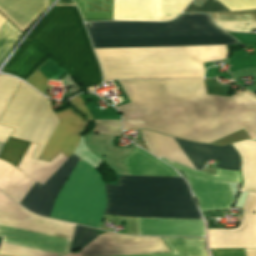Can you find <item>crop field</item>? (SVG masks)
I'll use <instances>...</instances> for the list:
<instances>
[{
  "label": "crop field",
  "mask_w": 256,
  "mask_h": 256,
  "mask_svg": "<svg viewBox=\"0 0 256 256\" xmlns=\"http://www.w3.org/2000/svg\"><path fill=\"white\" fill-rule=\"evenodd\" d=\"M94 48L239 44L208 14H182L166 23H86ZM104 81L202 78V63L227 57L226 45L94 49Z\"/></svg>",
  "instance_id": "crop-field-1"
},
{
  "label": "crop field",
  "mask_w": 256,
  "mask_h": 256,
  "mask_svg": "<svg viewBox=\"0 0 256 256\" xmlns=\"http://www.w3.org/2000/svg\"><path fill=\"white\" fill-rule=\"evenodd\" d=\"M129 104L117 107L124 129L148 128L211 143L241 129L256 140V96L205 94L203 80L118 81Z\"/></svg>",
  "instance_id": "crop-field-2"
},
{
  "label": "crop field",
  "mask_w": 256,
  "mask_h": 256,
  "mask_svg": "<svg viewBox=\"0 0 256 256\" xmlns=\"http://www.w3.org/2000/svg\"><path fill=\"white\" fill-rule=\"evenodd\" d=\"M14 57L38 67L50 57L85 88L102 82L98 63L76 6H54ZM14 57L2 72L26 81L38 67Z\"/></svg>",
  "instance_id": "crop-field-3"
},
{
  "label": "crop field",
  "mask_w": 256,
  "mask_h": 256,
  "mask_svg": "<svg viewBox=\"0 0 256 256\" xmlns=\"http://www.w3.org/2000/svg\"><path fill=\"white\" fill-rule=\"evenodd\" d=\"M106 196L193 199L182 178L120 176L105 185ZM104 214L131 217L201 218L194 200L107 197Z\"/></svg>",
  "instance_id": "crop-field-4"
},
{
  "label": "crop field",
  "mask_w": 256,
  "mask_h": 256,
  "mask_svg": "<svg viewBox=\"0 0 256 256\" xmlns=\"http://www.w3.org/2000/svg\"><path fill=\"white\" fill-rule=\"evenodd\" d=\"M0 225L70 240L74 225L40 218L25 211L0 193ZM0 226L1 243L66 254L70 241ZM0 245V254L15 256H58L21 247Z\"/></svg>",
  "instance_id": "crop-field-5"
},
{
  "label": "crop field",
  "mask_w": 256,
  "mask_h": 256,
  "mask_svg": "<svg viewBox=\"0 0 256 256\" xmlns=\"http://www.w3.org/2000/svg\"><path fill=\"white\" fill-rule=\"evenodd\" d=\"M106 206L101 175L79 159L49 217L98 228Z\"/></svg>",
  "instance_id": "crop-field-6"
},
{
  "label": "crop field",
  "mask_w": 256,
  "mask_h": 256,
  "mask_svg": "<svg viewBox=\"0 0 256 256\" xmlns=\"http://www.w3.org/2000/svg\"><path fill=\"white\" fill-rule=\"evenodd\" d=\"M57 122L50 101L23 82L0 118V125L15 128L11 137L38 144L37 159Z\"/></svg>",
  "instance_id": "crop-field-7"
},
{
  "label": "crop field",
  "mask_w": 256,
  "mask_h": 256,
  "mask_svg": "<svg viewBox=\"0 0 256 256\" xmlns=\"http://www.w3.org/2000/svg\"><path fill=\"white\" fill-rule=\"evenodd\" d=\"M29 145V142L9 137L0 158L17 167ZM35 147L31 143L18 165L21 171L14 167L1 189L19 203L36 181L43 185L67 159L61 153L49 162L32 159L30 157Z\"/></svg>",
  "instance_id": "crop-field-8"
},
{
  "label": "crop field",
  "mask_w": 256,
  "mask_h": 256,
  "mask_svg": "<svg viewBox=\"0 0 256 256\" xmlns=\"http://www.w3.org/2000/svg\"><path fill=\"white\" fill-rule=\"evenodd\" d=\"M149 152L159 157L178 162L197 170L204 167L203 163L208 159L220 161L217 168L225 170H239V157L235 150L230 146L215 147L206 144H197L167 137L152 131L140 130Z\"/></svg>",
  "instance_id": "crop-field-9"
},
{
  "label": "crop field",
  "mask_w": 256,
  "mask_h": 256,
  "mask_svg": "<svg viewBox=\"0 0 256 256\" xmlns=\"http://www.w3.org/2000/svg\"><path fill=\"white\" fill-rule=\"evenodd\" d=\"M82 13L83 18L113 19V0H110V13H84L85 3L74 0ZM191 0H185V4L162 3L157 0V20L163 21L175 18L187 6ZM86 2L85 12H109V0H81ZM138 2V14H118V18L156 19V0H133ZM163 2L184 3V0H163ZM117 19V0H114V20Z\"/></svg>",
  "instance_id": "crop-field-10"
},
{
  "label": "crop field",
  "mask_w": 256,
  "mask_h": 256,
  "mask_svg": "<svg viewBox=\"0 0 256 256\" xmlns=\"http://www.w3.org/2000/svg\"><path fill=\"white\" fill-rule=\"evenodd\" d=\"M82 256L170 252L160 237H131L106 232L80 250Z\"/></svg>",
  "instance_id": "crop-field-11"
},
{
  "label": "crop field",
  "mask_w": 256,
  "mask_h": 256,
  "mask_svg": "<svg viewBox=\"0 0 256 256\" xmlns=\"http://www.w3.org/2000/svg\"><path fill=\"white\" fill-rule=\"evenodd\" d=\"M209 248L256 247V193H250L236 229L208 230Z\"/></svg>",
  "instance_id": "crop-field-12"
},
{
  "label": "crop field",
  "mask_w": 256,
  "mask_h": 256,
  "mask_svg": "<svg viewBox=\"0 0 256 256\" xmlns=\"http://www.w3.org/2000/svg\"><path fill=\"white\" fill-rule=\"evenodd\" d=\"M56 116L59 122L39 159L49 161L60 152L69 157L81 139L77 132L85 128L86 122L71 107Z\"/></svg>",
  "instance_id": "crop-field-13"
},
{
  "label": "crop field",
  "mask_w": 256,
  "mask_h": 256,
  "mask_svg": "<svg viewBox=\"0 0 256 256\" xmlns=\"http://www.w3.org/2000/svg\"><path fill=\"white\" fill-rule=\"evenodd\" d=\"M78 159L72 154L43 186L36 182L20 204L38 215L48 217L57 193Z\"/></svg>",
  "instance_id": "crop-field-14"
},
{
  "label": "crop field",
  "mask_w": 256,
  "mask_h": 256,
  "mask_svg": "<svg viewBox=\"0 0 256 256\" xmlns=\"http://www.w3.org/2000/svg\"><path fill=\"white\" fill-rule=\"evenodd\" d=\"M200 210L230 208L234 196L226 182L203 180L185 173Z\"/></svg>",
  "instance_id": "crop-field-15"
},
{
  "label": "crop field",
  "mask_w": 256,
  "mask_h": 256,
  "mask_svg": "<svg viewBox=\"0 0 256 256\" xmlns=\"http://www.w3.org/2000/svg\"><path fill=\"white\" fill-rule=\"evenodd\" d=\"M139 235L204 236L202 220L138 218Z\"/></svg>",
  "instance_id": "crop-field-16"
},
{
  "label": "crop field",
  "mask_w": 256,
  "mask_h": 256,
  "mask_svg": "<svg viewBox=\"0 0 256 256\" xmlns=\"http://www.w3.org/2000/svg\"><path fill=\"white\" fill-rule=\"evenodd\" d=\"M48 0H0V12L23 32L47 8ZM0 14V27L5 22Z\"/></svg>",
  "instance_id": "crop-field-17"
},
{
  "label": "crop field",
  "mask_w": 256,
  "mask_h": 256,
  "mask_svg": "<svg viewBox=\"0 0 256 256\" xmlns=\"http://www.w3.org/2000/svg\"><path fill=\"white\" fill-rule=\"evenodd\" d=\"M123 162L129 175L180 177L174 170L138 147Z\"/></svg>",
  "instance_id": "crop-field-18"
},
{
  "label": "crop field",
  "mask_w": 256,
  "mask_h": 256,
  "mask_svg": "<svg viewBox=\"0 0 256 256\" xmlns=\"http://www.w3.org/2000/svg\"><path fill=\"white\" fill-rule=\"evenodd\" d=\"M240 154L244 184L241 190L256 192V142L243 140L232 144Z\"/></svg>",
  "instance_id": "crop-field-19"
},
{
  "label": "crop field",
  "mask_w": 256,
  "mask_h": 256,
  "mask_svg": "<svg viewBox=\"0 0 256 256\" xmlns=\"http://www.w3.org/2000/svg\"><path fill=\"white\" fill-rule=\"evenodd\" d=\"M173 253L133 256H207L204 240L163 238Z\"/></svg>",
  "instance_id": "crop-field-20"
},
{
  "label": "crop field",
  "mask_w": 256,
  "mask_h": 256,
  "mask_svg": "<svg viewBox=\"0 0 256 256\" xmlns=\"http://www.w3.org/2000/svg\"><path fill=\"white\" fill-rule=\"evenodd\" d=\"M19 84L14 78L0 75V117ZM12 131V128L0 126V142L5 143Z\"/></svg>",
  "instance_id": "crop-field-21"
},
{
  "label": "crop field",
  "mask_w": 256,
  "mask_h": 256,
  "mask_svg": "<svg viewBox=\"0 0 256 256\" xmlns=\"http://www.w3.org/2000/svg\"><path fill=\"white\" fill-rule=\"evenodd\" d=\"M22 34L7 20L0 29V63Z\"/></svg>",
  "instance_id": "crop-field-22"
},
{
  "label": "crop field",
  "mask_w": 256,
  "mask_h": 256,
  "mask_svg": "<svg viewBox=\"0 0 256 256\" xmlns=\"http://www.w3.org/2000/svg\"><path fill=\"white\" fill-rule=\"evenodd\" d=\"M169 162L171 164H173L174 166H176L177 168H179L180 170L185 171L189 174L201 177V178L238 183L237 172L220 170L218 176H213V175L206 174L203 172L194 171L192 169H189L187 167H184L182 165H179V164L171 162V161H169Z\"/></svg>",
  "instance_id": "crop-field-23"
},
{
  "label": "crop field",
  "mask_w": 256,
  "mask_h": 256,
  "mask_svg": "<svg viewBox=\"0 0 256 256\" xmlns=\"http://www.w3.org/2000/svg\"><path fill=\"white\" fill-rule=\"evenodd\" d=\"M99 235L100 234L93 229L75 226V233L71 243L70 252L83 248Z\"/></svg>",
  "instance_id": "crop-field-24"
},
{
  "label": "crop field",
  "mask_w": 256,
  "mask_h": 256,
  "mask_svg": "<svg viewBox=\"0 0 256 256\" xmlns=\"http://www.w3.org/2000/svg\"><path fill=\"white\" fill-rule=\"evenodd\" d=\"M95 123L103 125H96L93 133L121 136L120 120H95Z\"/></svg>",
  "instance_id": "crop-field-25"
},
{
  "label": "crop field",
  "mask_w": 256,
  "mask_h": 256,
  "mask_svg": "<svg viewBox=\"0 0 256 256\" xmlns=\"http://www.w3.org/2000/svg\"><path fill=\"white\" fill-rule=\"evenodd\" d=\"M195 0H193L188 7L183 11V12H206V13H212V12H220V11H228L227 9H225L223 6H221L220 4H217L215 2V0H200L202 2H204L202 4V2L197 3L196 5L201 6L198 7L194 4H192Z\"/></svg>",
  "instance_id": "crop-field-26"
},
{
  "label": "crop field",
  "mask_w": 256,
  "mask_h": 256,
  "mask_svg": "<svg viewBox=\"0 0 256 256\" xmlns=\"http://www.w3.org/2000/svg\"><path fill=\"white\" fill-rule=\"evenodd\" d=\"M252 14V21H256V10L230 13L211 14L214 22H217V15ZM251 21V15H235L230 17H218V22Z\"/></svg>",
  "instance_id": "crop-field-27"
},
{
  "label": "crop field",
  "mask_w": 256,
  "mask_h": 256,
  "mask_svg": "<svg viewBox=\"0 0 256 256\" xmlns=\"http://www.w3.org/2000/svg\"><path fill=\"white\" fill-rule=\"evenodd\" d=\"M230 11L256 8V0H218Z\"/></svg>",
  "instance_id": "crop-field-28"
},
{
  "label": "crop field",
  "mask_w": 256,
  "mask_h": 256,
  "mask_svg": "<svg viewBox=\"0 0 256 256\" xmlns=\"http://www.w3.org/2000/svg\"><path fill=\"white\" fill-rule=\"evenodd\" d=\"M50 78L38 69L26 82L37 88L42 94L48 86L44 85Z\"/></svg>",
  "instance_id": "crop-field-29"
},
{
  "label": "crop field",
  "mask_w": 256,
  "mask_h": 256,
  "mask_svg": "<svg viewBox=\"0 0 256 256\" xmlns=\"http://www.w3.org/2000/svg\"><path fill=\"white\" fill-rule=\"evenodd\" d=\"M213 256H256V249H211Z\"/></svg>",
  "instance_id": "crop-field-30"
},
{
  "label": "crop field",
  "mask_w": 256,
  "mask_h": 256,
  "mask_svg": "<svg viewBox=\"0 0 256 256\" xmlns=\"http://www.w3.org/2000/svg\"><path fill=\"white\" fill-rule=\"evenodd\" d=\"M218 27L227 31L250 32V28H256V22H237V23H215Z\"/></svg>",
  "instance_id": "crop-field-31"
},
{
  "label": "crop field",
  "mask_w": 256,
  "mask_h": 256,
  "mask_svg": "<svg viewBox=\"0 0 256 256\" xmlns=\"http://www.w3.org/2000/svg\"><path fill=\"white\" fill-rule=\"evenodd\" d=\"M70 101L80 112H82L87 117L88 121L92 120L89 111L86 109L83 102L81 101V99L78 96L71 99Z\"/></svg>",
  "instance_id": "crop-field-32"
},
{
  "label": "crop field",
  "mask_w": 256,
  "mask_h": 256,
  "mask_svg": "<svg viewBox=\"0 0 256 256\" xmlns=\"http://www.w3.org/2000/svg\"><path fill=\"white\" fill-rule=\"evenodd\" d=\"M56 5H74L71 0H59Z\"/></svg>",
  "instance_id": "crop-field-33"
},
{
  "label": "crop field",
  "mask_w": 256,
  "mask_h": 256,
  "mask_svg": "<svg viewBox=\"0 0 256 256\" xmlns=\"http://www.w3.org/2000/svg\"><path fill=\"white\" fill-rule=\"evenodd\" d=\"M64 256H81L80 253H74V254H68V255H64Z\"/></svg>",
  "instance_id": "crop-field-34"
},
{
  "label": "crop field",
  "mask_w": 256,
  "mask_h": 256,
  "mask_svg": "<svg viewBox=\"0 0 256 256\" xmlns=\"http://www.w3.org/2000/svg\"><path fill=\"white\" fill-rule=\"evenodd\" d=\"M54 0H49V4H48V6L53 2Z\"/></svg>",
  "instance_id": "crop-field-35"
},
{
  "label": "crop field",
  "mask_w": 256,
  "mask_h": 256,
  "mask_svg": "<svg viewBox=\"0 0 256 256\" xmlns=\"http://www.w3.org/2000/svg\"><path fill=\"white\" fill-rule=\"evenodd\" d=\"M0 256H3V255H0Z\"/></svg>",
  "instance_id": "crop-field-36"
},
{
  "label": "crop field",
  "mask_w": 256,
  "mask_h": 256,
  "mask_svg": "<svg viewBox=\"0 0 256 256\" xmlns=\"http://www.w3.org/2000/svg\"><path fill=\"white\" fill-rule=\"evenodd\" d=\"M1 239V238H0Z\"/></svg>",
  "instance_id": "crop-field-37"
}]
</instances>
